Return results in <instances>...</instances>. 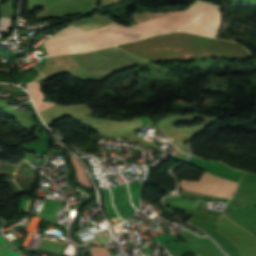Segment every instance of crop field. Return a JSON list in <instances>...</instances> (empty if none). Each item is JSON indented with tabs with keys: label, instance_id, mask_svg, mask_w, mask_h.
Segmentation results:
<instances>
[{
	"label": "crop field",
	"instance_id": "1",
	"mask_svg": "<svg viewBox=\"0 0 256 256\" xmlns=\"http://www.w3.org/2000/svg\"><path fill=\"white\" fill-rule=\"evenodd\" d=\"M228 4L230 3L214 5L210 2L205 3L197 0L183 12H167L130 27L123 26L115 21L103 28L87 32L74 26H67V28L62 29L56 35L48 38L44 45L49 56L87 52L97 48L178 30L196 19L199 15L207 11L221 9Z\"/></svg>",
	"mask_w": 256,
	"mask_h": 256
},
{
	"label": "crop field",
	"instance_id": "10",
	"mask_svg": "<svg viewBox=\"0 0 256 256\" xmlns=\"http://www.w3.org/2000/svg\"><path fill=\"white\" fill-rule=\"evenodd\" d=\"M167 203L172 204V205L194 208L199 202L187 201L184 199L174 198V199L167 200Z\"/></svg>",
	"mask_w": 256,
	"mask_h": 256
},
{
	"label": "crop field",
	"instance_id": "2",
	"mask_svg": "<svg viewBox=\"0 0 256 256\" xmlns=\"http://www.w3.org/2000/svg\"><path fill=\"white\" fill-rule=\"evenodd\" d=\"M118 47L152 62L186 61L199 58L234 60L251 58V54L238 43L182 32L149 37L140 41L118 45Z\"/></svg>",
	"mask_w": 256,
	"mask_h": 256
},
{
	"label": "crop field",
	"instance_id": "13",
	"mask_svg": "<svg viewBox=\"0 0 256 256\" xmlns=\"http://www.w3.org/2000/svg\"><path fill=\"white\" fill-rule=\"evenodd\" d=\"M0 243L1 244H3V245H5V246H7V247H11L10 245H8L7 243H6V241L0 236ZM12 248V247H11Z\"/></svg>",
	"mask_w": 256,
	"mask_h": 256
},
{
	"label": "crop field",
	"instance_id": "9",
	"mask_svg": "<svg viewBox=\"0 0 256 256\" xmlns=\"http://www.w3.org/2000/svg\"><path fill=\"white\" fill-rule=\"evenodd\" d=\"M200 160H202V159H200ZM202 161H204V160H202ZM206 163L215 167V168H217V169H219V170H221V171H223V172H227V173H230V174H233V175H236V176L242 177L243 174H244V172L232 170V169L228 168L227 166H225L224 164H222L220 162H206Z\"/></svg>",
	"mask_w": 256,
	"mask_h": 256
},
{
	"label": "crop field",
	"instance_id": "7",
	"mask_svg": "<svg viewBox=\"0 0 256 256\" xmlns=\"http://www.w3.org/2000/svg\"><path fill=\"white\" fill-rule=\"evenodd\" d=\"M29 92L32 95L33 100L39 111L55 105V103H51L48 101L43 102L44 95L40 91L39 82L34 81L31 85H29Z\"/></svg>",
	"mask_w": 256,
	"mask_h": 256
},
{
	"label": "crop field",
	"instance_id": "8",
	"mask_svg": "<svg viewBox=\"0 0 256 256\" xmlns=\"http://www.w3.org/2000/svg\"><path fill=\"white\" fill-rule=\"evenodd\" d=\"M55 143L60 146L56 141ZM60 148L64 149L62 146H60ZM65 150V149H64ZM67 151V150H66ZM67 153L70 155L71 157V162L72 164L76 167V176H77V179H78V182L79 184H81L82 186H85V187H88V186H91L90 182H89V179L82 167V165L79 163V161L73 157L68 151Z\"/></svg>",
	"mask_w": 256,
	"mask_h": 256
},
{
	"label": "crop field",
	"instance_id": "6",
	"mask_svg": "<svg viewBox=\"0 0 256 256\" xmlns=\"http://www.w3.org/2000/svg\"><path fill=\"white\" fill-rule=\"evenodd\" d=\"M220 26L221 11H217L200 16L181 31L216 37Z\"/></svg>",
	"mask_w": 256,
	"mask_h": 256
},
{
	"label": "crop field",
	"instance_id": "12",
	"mask_svg": "<svg viewBox=\"0 0 256 256\" xmlns=\"http://www.w3.org/2000/svg\"><path fill=\"white\" fill-rule=\"evenodd\" d=\"M0 255L1 256H20L17 252L11 251L2 246H0Z\"/></svg>",
	"mask_w": 256,
	"mask_h": 256
},
{
	"label": "crop field",
	"instance_id": "11",
	"mask_svg": "<svg viewBox=\"0 0 256 256\" xmlns=\"http://www.w3.org/2000/svg\"><path fill=\"white\" fill-rule=\"evenodd\" d=\"M90 251L93 256H110L109 252L107 251V248H100V247H91Z\"/></svg>",
	"mask_w": 256,
	"mask_h": 256
},
{
	"label": "crop field",
	"instance_id": "5",
	"mask_svg": "<svg viewBox=\"0 0 256 256\" xmlns=\"http://www.w3.org/2000/svg\"><path fill=\"white\" fill-rule=\"evenodd\" d=\"M236 183L207 174L201 176L199 181L196 182H186L181 181V186L183 190L201 193L205 195H217L231 197ZM225 198V197H219ZM229 199V198H226Z\"/></svg>",
	"mask_w": 256,
	"mask_h": 256
},
{
	"label": "crop field",
	"instance_id": "3",
	"mask_svg": "<svg viewBox=\"0 0 256 256\" xmlns=\"http://www.w3.org/2000/svg\"><path fill=\"white\" fill-rule=\"evenodd\" d=\"M83 71H118L148 61L116 48L115 46L84 54H71Z\"/></svg>",
	"mask_w": 256,
	"mask_h": 256
},
{
	"label": "crop field",
	"instance_id": "4",
	"mask_svg": "<svg viewBox=\"0 0 256 256\" xmlns=\"http://www.w3.org/2000/svg\"><path fill=\"white\" fill-rule=\"evenodd\" d=\"M216 230L233 244H235L242 256H256V238L243 228L236 225L226 216H220Z\"/></svg>",
	"mask_w": 256,
	"mask_h": 256
}]
</instances>
